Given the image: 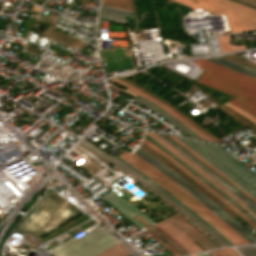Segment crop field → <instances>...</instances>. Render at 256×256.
I'll return each instance as SVG.
<instances>
[{
  "mask_svg": "<svg viewBox=\"0 0 256 256\" xmlns=\"http://www.w3.org/2000/svg\"><path fill=\"white\" fill-rule=\"evenodd\" d=\"M242 1L244 3H247L249 5L255 6L256 7V0H239Z\"/></svg>",
  "mask_w": 256,
  "mask_h": 256,
  "instance_id": "crop-field-25",
  "label": "crop field"
},
{
  "mask_svg": "<svg viewBox=\"0 0 256 256\" xmlns=\"http://www.w3.org/2000/svg\"><path fill=\"white\" fill-rule=\"evenodd\" d=\"M197 256H204L202 253H200V254H197Z\"/></svg>",
  "mask_w": 256,
  "mask_h": 256,
  "instance_id": "crop-field-27",
  "label": "crop field"
},
{
  "mask_svg": "<svg viewBox=\"0 0 256 256\" xmlns=\"http://www.w3.org/2000/svg\"><path fill=\"white\" fill-rule=\"evenodd\" d=\"M212 256H224L219 250L210 251L209 252Z\"/></svg>",
  "mask_w": 256,
  "mask_h": 256,
  "instance_id": "crop-field-26",
  "label": "crop field"
},
{
  "mask_svg": "<svg viewBox=\"0 0 256 256\" xmlns=\"http://www.w3.org/2000/svg\"><path fill=\"white\" fill-rule=\"evenodd\" d=\"M126 1H130L131 2V0H126Z\"/></svg>",
  "mask_w": 256,
  "mask_h": 256,
  "instance_id": "crop-field-28",
  "label": "crop field"
},
{
  "mask_svg": "<svg viewBox=\"0 0 256 256\" xmlns=\"http://www.w3.org/2000/svg\"><path fill=\"white\" fill-rule=\"evenodd\" d=\"M169 136V135H168ZM174 141H176L179 145H181L183 148H185L187 151H189L191 154H193L195 157L200 159L202 162H204L206 165H208L210 168H212L214 171H216L218 174H220L222 177H224L226 180H228L230 183H232L235 187H237L239 190H241L244 194H246L249 198H251L254 202H256L251 196H249L244 190H242L239 186H237L234 182H232L230 179H228L226 176H224L222 173H220L218 170H216L214 167L206 163L204 160H202L200 157H198L195 153H193L191 150H189L186 146H184L181 142H179L176 138L173 136H170Z\"/></svg>",
  "mask_w": 256,
  "mask_h": 256,
  "instance_id": "crop-field-19",
  "label": "crop field"
},
{
  "mask_svg": "<svg viewBox=\"0 0 256 256\" xmlns=\"http://www.w3.org/2000/svg\"><path fill=\"white\" fill-rule=\"evenodd\" d=\"M149 235L152 236L153 239L159 241L168 251H170L174 256H180L181 254L178 253L176 250H174L172 247H170L169 245H166L164 242H162L161 238H159L157 235H155L152 231H150L149 229L145 230ZM158 242V243H159Z\"/></svg>",
  "mask_w": 256,
  "mask_h": 256,
  "instance_id": "crop-field-21",
  "label": "crop field"
},
{
  "mask_svg": "<svg viewBox=\"0 0 256 256\" xmlns=\"http://www.w3.org/2000/svg\"><path fill=\"white\" fill-rule=\"evenodd\" d=\"M128 256H132V255L130 254V255H128Z\"/></svg>",
  "mask_w": 256,
  "mask_h": 256,
  "instance_id": "crop-field-29",
  "label": "crop field"
},
{
  "mask_svg": "<svg viewBox=\"0 0 256 256\" xmlns=\"http://www.w3.org/2000/svg\"><path fill=\"white\" fill-rule=\"evenodd\" d=\"M81 145L85 146L86 148L90 149L91 151H93L94 153H96L97 155H99L100 157H102L103 159L107 160L108 162H110L111 164H113L114 166H116L117 168H119L120 170L130 174L131 176H133L134 178H136L137 180H139L141 183H143L146 187H148L149 189H151L153 192H155L157 195H159L161 198H163L164 200H166L168 203H170L171 205H173L175 208H177L179 211H181L183 214H185L187 217H189L191 220H193L195 223H197L201 228H203L210 236H212L218 243H220L223 247L225 246H229L226 242H224L219 236H217L214 232H212L206 225H204L202 222H200L198 219H196L195 217H193L191 214H189L187 211H185L183 208H181L179 205H177L174 201H172L170 198H168L165 194H163L161 191H159L154 185H152L148 180H146L145 178H143L142 176H140L139 174H137L136 172H134L133 170H131L129 167H127L125 164H123L121 161H119L118 159L108 155L107 153H105L103 150L99 149L98 147H96L95 145L91 144L90 142H88L87 140L83 139L80 141ZM192 221V222H193ZM196 224V225H197ZM202 229V230H203Z\"/></svg>",
  "mask_w": 256,
  "mask_h": 256,
  "instance_id": "crop-field-7",
  "label": "crop field"
},
{
  "mask_svg": "<svg viewBox=\"0 0 256 256\" xmlns=\"http://www.w3.org/2000/svg\"><path fill=\"white\" fill-rule=\"evenodd\" d=\"M145 134L148 135L150 138H152L154 141H156L158 144H160L162 147H164L166 150H168L170 153H172L174 156H176L178 159H180L185 164H187L196 173L200 174L205 179H207L209 182H211L214 186H216L218 189H220L222 192H224L227 196H229L231 199H233L241 207L247 205L244 201H242L240 198H238L236 195H234L232 192H230L227 188H225L223 185H221L219 182H217L215 179H213L211 176H209L207 173H205L203 170H201L199 167H197L191 161H189L186 157H184L181 153H179L177 150H175L173 147H171L169 144H167L165 141H163L157 135H155L152 132H148V131H146Z\"/></svg>",
  "mask_w": 256,
  "mask_h": 256,
  "instance_id": "crop-field-8",
  "label": "crop field"
},
{
  "mask_svg": "<svg viewBox=\"0 0 256 256\" xmlns=\"http://www.w3.org/2000/svg\"><path fill=\"white\" fill-rule=\"evenodd\" d=\"M159 232L176 244L187 254L201 252L192 241H197L206 250L216 249L217 247L206 239L198 230L187 223L178 215L165 220L155 226Z\"/></svg>",
  "mask_w": 256,
  "mask_h": 256,
  "instance_id": "crop-field-4",
  "label": "crop field"
},
{
  "mask_svg": "<svg viewBox=\"0 0 256 256\" xmlns=\"http://www.w3.org/2000/svg\"><path fill=\"white\" fill-rule=\"evenodd\" d=\"M219 41V45L222 52L226 51H234V50H241L245 49L244 45H232L229 43L230 37L229 36H223V37H217Z\"/></svg>",
  "mask_w": 256,
  "mask_h": 256,
  "instance_id": "crop-field-18",
  "label": "crop field"
},
{
  "mask_svg": "<svg viewBox=\"0 0 256 256\" xmlns=\"http://www.w3.org/2000/svg\"><path fill=\"white\" fill-rule=\"evenodd\" d=\"M157 135L160 136L162 139H164L166 142H168L170 145H172L174 148H176L184 156H186L188 159H190L192 162H194L196 165H198L200 168H202L204 171H206L208 174H210L213 178H215L217 181H219L221 184H223L225 187H227L230 191H232L234 194H236L238 197H240L246 203H248L249 205L246 206V208L249 209L254 215H256V206L254 204H252L245 197H243L240 193H238L236 190H234L231 186H229L227 183H225L223 180H221L219 177H217L215 174H213L211 171H209L207 168H205L203 165H201L199 162H197L195 159H193L187 153H185L182 149H180L177 145H175L167 137H165L164 135H161V134H157Z\"/></svg>",
  "mask_w": 256,
  "mask_h": 256,
  "instance_id": "crop-field-13",
  "label": "crop field"
},
{
  "mask_svg": "<svg viewBox=\"0 0 256 256\" xmlns=\"http://www.w3.org/2000/svg\"><path fill=\"white\" fill-rule=\"evenodd\" d=\"M192 62L206 70L197 82L236 97L228 102L256 117V78L204 59Z\"/></svg>",
  "mask_w": 256,
  "mask_h": 256,
  "instance_id": "crop-field-1",
  "label": "crop field"
},
{
  "mask_svg": "<svg viewBox=\"0 0 256 256\" xmlns=\"http://www.w3.org/2000/svg\"><path fill=\"white\" fill-rule=\"evenodd\" d=\"M101 198L104 201H106L107 203H109L114 209L118 210L120 213H122L124 216H126L129 220H131L138 227H142L143 225L132 217L136 214L141 216L143 219H145L151 225L155 224L149 218H147L145 215H143L138 210L133 208L129 203H127L125 200L120 198L118 195H116L112 191L105 194Z\"/></svg>",
  "mask_w": 256,
  "mask_h": 256,
  "instance_id": "crop-field-9",
  "label": "crop field"
},
{
  "mask_svg": "<svg viewBox=\"0 0 256 256\" xmlns=\"http://www.w3.org/2000/svg\"><path fill=\"white\" fill-rule=\"evenodd\" d=\"M243 256H256V246L238 248Z\"/></svg>",
  "mask_w": 256,
  "mask_h": 256,
  "instance_id": "crop-field-22",
  "label": "crop field"
},
{
  "mask_svg": "<svg viewBox=\"0 0 256 256\" xmlns=\"http://www.w3.org/2000/svg\"><path fill=\"white\" fill-rule=\"evenodd\" d=\"M102 227H97L79 239L74 237L50 251L54 256H93L116 243Z\"/></svg>",
  "mask_w": 256,
  "mask_h": 256,
  "instance_id": "crop-field-5",
  "label": "crop field"
},
{
  "mask_svg": "<svg viewBox=\"0 0 256 256\" xmlns=\"http://www.w3.org/2000/svg\"><path fill=\"white\" fill-rule=\"evenodd\" d=\"M223 105H225V106L231 108L232 110H234V111L240 113L241 115H243V116H245L246 118H248L249 120H251L254 124H256V118H255V117H253V116H251V115H249V114H247V113H245V112L239 110L238 108L232 106V105L229 104V103H225V104H223Z\"/></svg>",
  "mask_w": 256,
  "mask_h": 256,
  "instance_id": "crop-field-23",
  "label": "crop field"
},
{
  "mask_svg": "<svg viewBox=\"0 0 256 256\" xmlns=\"http://www.w3.org/2000/svg\"><path fill=\"white\" fill-rule=\"evenodd\" d=\"M192 256H196V255H192Z\"/></svg>",
  "mask_w": 256,
  "mask_h": 256,
  "instance_id": "crop-field-30",
  "label": "crop field"
},
{
  "mask_svg": "<svg viewBox=\"0 0 256 256\" xmlns=\"http://www.w3.org/2000/svg\"><path fill=\"white\" fill-rule=\"evenodd\" d=\"M144 143L149 145L151 148H153L156 152H158L160 155H162L164 158H166L168 161L173 163L175 166H177L179 169H181L183 172H185L187 175H189L191 178H193L195 181H197L200 185H202L206 190H208L210 193H212L214 196H216L218 199L223 201L225 204H227L229 207H231L233 210H235L241 217H243L251 226H253L256 229V224L250 220L248 217H246L243 213L240 212L239 209H237L235 206H233L230 202H228L225 198H223L221 195H219L216 191H214L211 187H209L207 184H205L202 180H200L198 177H196L194 174H192L189 170H187L185 167H183L181 164H179L177 161H175L173 158H171L169 155H167L165 152H163L161 149L147 141L146 139H143Z\"/></svg>",
  "mask_w": 256,
  "mask_h": 256,
  "instance_id": "crop-field-11",
  "label": "crop field"
},
{
  "mask_svg": "<svg viewBox=\"0 0 256 256\" xmlns=\"http://www.w3.org/2000/svg\"><path fill=\"white\" fill-rule=\"evenodd\" d=\"M151 166L156 168L162 174L167 176L177 185H179L182 189L188 192L191 196L197 199L200 203H202L205 207H207L211 212H213L216 216H218L221 220H223L227 225H229L233 230H235L239 235H241L245 240H247L250 244H256V238L247 230H245L241 225H239L232 217H230L226 212H224L220 207H218L214 202L204 196L201 192L195 189L192 185L166 167L164 164L156 160L154 157L149 155L140 147L134 152Z\"/></svg>",
  "mask_w": 256,
  "mask_h": 256,
  "instance_id": "crop-field-3",
  "label": "crop field"
},
{
  "mask_svg": "<svg viewBox=\"0 0 256 256\" xmlns=\"http://www.w3.org/2000/svg\"><path fill=\"white\" fill-rule=\"evenodd\" d=\"M123 160L127 161L162 188L168 191L171 195L177 198L180 202L186 205L189 209L199 215L202 219L208 222L212 227H214L218 232H220L224 237H226L234 245L237 244H249L242 237H240L236 232H234L230 227H228L224 222H222L218 217L211 213L207 208L200 204L197 200L191 197L188 193L182 190L179 186L169 180L167 177L162 175L156 169L151 167L137 155L129 154L127 151L119 156Z\"/></svg>",
  "mask_w": 256,
  "mask_h": 256,
  "instance_id": "crop-field-2",
  "label": "crop field"
},
{
  "mask_svg": "<svg viewBox=\"0 0 256 256\" xmlns=\"http://www.w3.org/2000/svg\"><path fill=\"white\" fill-rule=\"evenodd\" d=\"M102 4L132 11L131 3L121 0H103Z\"/></svg>",
  "mask_w": 256,
  "mask_h": 256,
  "instance_id": "crop-field-20",
  "label": "crop field"
},
{
  "mask_svg": "<svg viewBox=\"0 0 256 256\" xmlns=\"http://www.w3.org/2000/svg\"><path fill=\"white\" fill-rule=\"evenodd\" d=\"M125 17L132 18V12L102 5L99 18L125 23Z\"/></svg>",
  "mask_w": 256,
  "mask_h": 256,
  "instance_id": "crop-field-14",
  "label": "crop field"
},
{
  "mask_svg": "<svg viewBox=\"0 0 256 256\" xmlns=\"http://www.w3.org/2000/svg\"><path fill=\"white\" fill-rule=\"evenodd\" d=\"M54 18H55V16H52V15H49L48 18L41 17V16L39 17V19H38L39 22L49 25L45 29V31L41 34V36L75 49L78 46V44L81 42V40H78L76 38H73V37L65 34V33H62V32H59L57 30L50 28Z\"/></svg>",
  "mask_w": 256,
  "mask_h": 256,
  "instance_id": "crop-field-12",
  "label": "crop field"
},
{
  "mask_svg": "<svg viewBox=\"0 0 256 256\" xmlns=\"http://www.w3.org/2000/svg\"><path fill=\"white\" fill-rule=\"evenodd\" d=\"M129 252L118 242L96 256H126Z\"/></svg>",
  "mask_w": 256,
  "mask_h": 256,
  "instance_id": "crop-field-17",
  "label": "crop field"
},
{
  "mask_svg": "<svg viewBox=\"0 0 256 256\" xmlns=\"http://www.w3.org/2000/svg\"><path fill=\"white\" fill-rule=\"evenodd\" d=\"M221 251L225 256H239L232 248L222 249Z\"/></svg>",
  "mask_w": 256,
  "mask_h": 256,
  "instance_id": "crop-field-24",
  "label": "crop field"
},
{
  "mask_svg": "<svg viewBox=\"0 0 256 256\" xmlns=\"http://www.w3.org/2000/svg\"><path fill=\"white\" fill-rule=\"evenodd\" d=\"M115 83H118L126 88L127 91L132 92L150 102H152L153 104L157 105L159 108H161L163 111H165L167 114H169L170 116H172L173 118H175L176 120H178L179 122H181L183 125H185L187 128H189L191 131H193L195 134H197L199 137H201L202 139L205 140H209L212 141L208 136H206L203 132H201L199 129H197L195 126H193L191 123H189L187 120H185L183 117H181L180 115H178L176 112H174L173 110H171L170 108H168L167 106H165L164 104H162L161 102L151 98L150 96L140 92L139 90L129 86L128 84L115 79V80H111ZM214 142V141H213Z\"/></svg>",
  "mask_w": 256,
  "mask_h": 256,
  "instance_id": "crop-field-10",
  "label": "crop field"
},
{
  "mask_svg": "<svg viewBox=\"0 0 256 256\" xmlns=\"http://www.w3.org/2000/svg\"><path fill=\"white\" fill-rule=\"evenodd\" d=\"M180 4L203 9L225 6L231 32L256 30V11L228 0H175Z\"/></svg>",
  "mask_w": 256,
  "mask_h": 256,
  "instance_id": "crop-field-6",
  "label": "crop field"
},
{
  "mask_svg": "<svg viewBox=\"0 0 256 256\" xmlns=\"http://www.w3.org/2000/svg\"><path fill=\"white\" fill-rule=\"evenodd\" d=\"M116 158H118L116 155H112ZM121 160L120 158H118ZM123 163H125L127 166H129L131 169L148 179L152 184H154L159 190H161L163 193H165L168 197H170L172 200H174L177 204H179L181 207H183L185 210H187L189 213H191L193 216L198 218L200 221H202L204 224H206L212 231H214L216 234H218L223 240H225L230 246H233L228 240H226L222 235H220L214 228H212L208 223H206L204 220H202L200 217H198L195 213H193L191 210H189L186 206H184L182 203H180L177 199H175L173 196H171L168 192H166L164 189H162L160 186H158L156 183H154L152 180H150L148 177H146L144 174H142L140 171H138L136 168L133 166L129 165L125 161L121 160Z\"/></svg>",
  "mask_w": 256,
  "mask_h": 256,
  "instance_id": "crop-field-15",
  "label": "crop field"
},
{
  "mask_svg": "<svg viewBox=\"0 0 256 256\" xmlns=\"http://www.w3.org/2000/svg\"><path fill=\"white\" fill-rule=\"evenodd\" d=\"M147 140L164 150L166 153H168L170 156H172L174 159H176L179 163H181L183 166H185L187 169H189L192 173H194L196 176H198L200 179H202L204 182H206L209 186H211L214 190H216L218 193H220L223 197H225L228 201H230L233 205H235L237 208H239L242 211V208L237 205L233 200H231L229 197H227L224 193H222L220 190H218L216 187H214L211 183H209L207 180H205L203 177L196 174L193 170H191L188 166H186L184 163H182L180 160H178L176 157H174L172 154H170L168 151H166L164 148H162L160 145H158L156 142H154L152 139H150L148 136H144ZM205 183V184H206ZM246 216H248L250 219H252L255 223L256 221L250 217L248 214H246L244 211H242Z\"/></svg>",
  "mask_w": 256,
  "mask_h": 256,
  "instance_id": "crop-field-16",
  "label": "crop field"
}]
</instances>
